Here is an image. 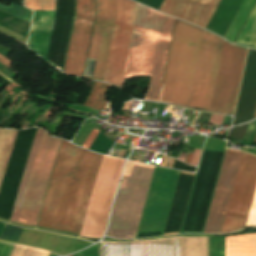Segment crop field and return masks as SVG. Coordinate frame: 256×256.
<instances>
[{
	"label": "crop field",
	"mask_w": 256,
	"mask_h": 256,
	"mask_svg": "<svg viewBox=\"0 0 256 256\" xmlns=\"http://www.w3.org/2000/svg\"><path fill=\"white\" fill-rule=\"evenodd\" d=\"M255 186L256 157L244 152L221 233L245 227Z\"/></svg>",
	"instance_id": "crop-field-10"
},
{
	"label": "crop field",
	"mask_w": 256,
	"mask_h": 256,
	"mask_svg": "<svg viewBox=\"0 0 256 256\" xmlns=\"http://www.w3.org/2000/svg\"><path fill=\"white\" fill-rule=\"evenodd\" d=\"M125 152H126V150H120V149H119L118 153L116 154V157L123 158Z\"/></svg>",
	"instance_id": "crop-field-34"
},
{
	"label": "crop field",
	"mask_w": 256,
	"mask_h": 256,
	"mask_svg": "<svg viewBox=\"0 0 256 256\" xmlns=\"http://www.w3.org/2000/svg\"><path fill=\"white\" fill-rule=\"evenodd\" d=\"M72 256V255H71Z\"/></svg>",
	"instance_id": "crop-field-40"
},
{
	"label": "crop field",
	"mask_w": 256,
	"mask_h": 256,
	"mask_svg": "<svg viewBox=\"0 0 256 256\" xmlns=\"http://www.w3.org/2000/svg\"><path fill=\"white\" fill-rule=\"evenodd\" d=\"M136 3L118 0L117 17L109 50L104 82L121 86L130 37L135 18Z\"/></svg>",
	"instance_id": "crop-field-9"
},
{
	"label": "crop field",
	"mask_w": 256,
	"mask_h": 256,
	"mask_svg": "<svg viewBox=\"0 0 256 256\" xmlns=\"http://www.w3.org/2000/svg\"><path fill=\"white\" fill-rule=\"evenodd\" d=\"M223 117H224V116L212 114L209 123L221 125V124H222Z\"/></svg>",
	"instance_id": "crop-field-31"
},
{
	"label": "crop field",
	"mask_w": 256,
	"mask_h": 256,
	"mask_svg": "<svg viewBox=\"0 0 256 256\" xmlns=\"http://www.w3.org/2000/svg\"><path fill=\"white\" fill-rule=\"evenodd\" d=\"M236 44L256 48V6L251 16L249 17L243 31L241 32Z\"/></svg>",
	"instance_id": "crop-field-22"
},
{
	"label": "crop field",
	"mask_w": 256,
	"mask_h": 256,
	"mask_svg": "<svg viewBox=\"0 0 256 256\" xmlns=\"http://www.w3.org/2000/svg\"><path fill=\"white\" fill-rule=\"evenodd\" d=\"M153 168L133 162L126 164L108 236L135 237Z\"/></svg>",
	"instance_id": "crop-field-4"
},
{
	"label": "crop field",
	"mask_w": 256,
	"mask_h": 256,
	"mask_svg": "<svg viewBox=\"0 0 256 256\" xmlns=\"http://www.w3.org/2000/svg\"><path fill=\"white\" fill-rule=\"evenodd\" d=\"M56 0H24V5L33 10H55ZM55 11H35L28 47L45 57Z\"/></svg>",
	"instance_id": "crop-field-15"
},
{
	"label": "crop field",
	"mask_w": 256,
	"mask_h": 256,
	"mask_svg": "<svg viewBox=\"0 0 256 256\" xmlns=\"http://www.w3.org/2000/svg\"><path fill=\"white\" fill-rule=\"evenodd\" d=\"M254 142H256V139H255V141Z\"/></svg>",
	"instance_id": "crop-field-39"
},
{
	"label": "crop field",
	"mask_w": 256,
	"mask_h": 256,
	"mask_svg": "<svg viewBox=\"0 0 256 256\" xmlns=\"http://www.w3.org/2000/svg\"><path fill=\"white\" fill-rule=\"evenodd\" d=\"M219 0H164L160 11L205 28Z\"/></svg>",
	"instance_id": "crop-field-16"
},
{
	"label": "crop field",
	"mask_w": 256,
	"mask_h": 256,
	"mask_svg": "<svg viewBox=\"0 0 256 256\" xmlns=\"http://www.w3.org/2000/svg\"><path fill=\"white\" fill-rule=\"evenodd\" d=\"M102 256H207V237L103 242Z\"/></svg>",
	"instance_id": "crop-field-6"
},
{
	"label": "crop field",
	"mask_w": 256,
	"mask_h": 256,
	"mask_svg": "<svg viewBox=\"0 0 256 256\" xmlns=\"http://www.w3.org/2000/svg\"><path fill=\"white\" fill-rule=\"evenodd\" d=\"M256 0H244L241 4L236 16L230 24L224 38L228 39L233 43L237 33L239 32L242 24L244 23L248 13L250 12L253 4Z\"/></svg>",
	"instance_id": "crop-field-21"
},
{
	"label": "crop field",
	"mask_w": 256,
	"mask_h": 256,
	"mask_svg": "<svg viewBox=\"0 0 256 256\" xmlns=\"http://www.w3.org/2000/svg\"><path fill=\"white\" fill-rule=\"evenodd\" d=\"M241 2L242 0H222L207 30L213 31L223 37Z\"/></svg>",
	"instance_id": "crop-field-17"
},
{
	"label": "crop field",
	"mask_w": 256,
	"mask_h": 256,
	"mask_svg": "<svg viewBox=\"0 0 256 256\" xmlns=\"http://www.w3.org/2000/svg\"><path fill=\"white\" fill-rule=\"evenodd\" d=\"M256 117V108H255V113H254V117L253 118H255Z\"/></svg>",
	"instance_id": "crop-field-38"
},
{
	"label": "crop field",
	"mask_w": 256,
	"mask_h": 256,
	"mask_svg": "<svg viewBox=\"0 0 256 256\" xmlns=\"http://www.w3.org/2000/svg\"><path fill=\"white\" fill-rule=\"evenodd\" d=\"M200 151L201 150L195 149V151H194V153H192V155H191V153H188L187 156H186L185 162L186 163L189 162V158H190V155H191V159H190L189 164L197 166L199 155H200Z\"/></svg>",
	"instance_id": "crop-field-28"
},
{
	"label": "crop field",
	"mask_w": 256,
	"mask_h": 256,
	"mask_svg": "<svg viewBox=\"0 0 256 256\" xmlns=\"http://www.w3.org/2000/svg\"><path fill=\"white\" fill-rule=\"evenodd\" d=\"M22 230V228L8 224L2 238L17 242Z\"/></svg>",
	"instance_id": "crop-field-26"
},
{
	"label": "crop field",
	"mask_w": 256,
	"mask_h": 256,
	"mask_svg": "<svg viewBox=\"0 0 256 256\" xmlns=\"http://www.w3.org/2000/svg\"><path fill=\"white\" fill-rule=\"evenodd\" d=\"M167 159H168L167 157H164V156H163L159 166L165 167V166H166ZM173 161H174V160L172 159V160H171L170 167H172Z\"/></svg>",
	"instance_id": "crop-field-32"
},
{
	"label": "crop field",
	"mask_w": 256,
	"mask_h": 256,
	"mask_svg": "<svg viewBox=\"0 0 256 256\" xmlns=\"http://www.w3.org/2000/svg\"><path fill=\"white\" fill-rule=\"evenodd\" d=\"M202 29L176 21L159 100L186 106ZM223 40L204 31L187 107L209 109Z\"/></svg>",
	"instance_id": "crop-field-1"
},
{
	"label": "crop field",
	"mask_w": 256,
	"mask_h": 256,
	"mask_svg": "<svg viewBox=\"0 0 256 256\" xmlns=\"http://www.w3.org/2000/svg\"><path fill=\"white\" fill-rule=\"evenodd\" d=\"M97 134H98V131L92 129V131L90 132L89 136L85 140V142L83 144V147L88 149V147L90 146V144L92 143V141L94 140V138L96 137Z\"/></svg>",
	"instance_id": "crop-field-30"
},
{
	"label": "crop field",
	"mask_w": 256,
	"mask_h": 256,
	"mask_svg": "<svg viewBox=\"0 0 256 256\" xmlns=\"http://www.w3.org/2000/svg\"><path fill=\"white\" fill-rule=\"evenodd\" d=\"M43 132H44V130H42L40 128L37 129L36 136H35L32 148H31V152H30V155H29V158L27 161V165H26L23 177H22L21 184H20L18 196H17L16 202H15V206H14V209L12 212L11 219H10L11 221H15V222L17 221V217H18L19 210L21 207V203H22V199H23L24 192L26 189L27 181H28L35 157H36V153H37Z\"/></svg>",
	"instance_id": "crop-field-19"
},
{
	"label": "crop field",
	"mask_w": 256,
	"mask_h": 256,
	"mask_svg": "<svg viewBox=\"0 0 256 256\" xmlns=\"http://www.w3.org/2000/svg\"><path fill=\"white\" fill-rule=\"evenodd\" d=\"M230 120H231V117L225 116V117H224L223 124H228V123H230ZM223 124H222V125H223Z\"/></svg>",
	"instance_id": "crop-field-35"
},
{
	"label": "crop field",
	"mask_w": 256,
	"mask_h": 256,
	"mask_svg": "<svg viewBox=\"0 0 256 256\" xmlns=\"http://www.w3.org/2000/svg\"><path fill=\"white\" fill-rule=\"evenodd\" d=\"M49 252L16 245L11 256H48Z\"/></svg>",
	"instance_id": "crop-field-24"
},
{
	"label": "crop field",
	"mask_w": 256,
	"mask_h": 256,
	"mask_svg": "<svg viewBox=\"0 0 256 256\" xmlns=\"http://www.w3.org/2000/svg\"><path fill=\"white\" fill-rule=\"evenodd\" d=\"M162 17V14L137 4L123 81L133 76H151ZM174 21V18L163 17L151 84L144 99H158Z\"/></svg>",
	"instance_id": "crop-field-2"
},
{
	"label": "crop field",
	"mask_w": 256,
	"mask_h": 256,
	"mask_svg": "<svg viewBox=\"0 0 256 256\" xmlns=\"http://www.w3.org/2000/svg\"><path fill=\"white\" fill-rule=\"evenodd\" d=\"M246 52L223 43L209 111L233 112Z\"/></svg>",
	"instance_id": "crop-field-8"
},
{
	"label": "crop field",
	"mask_w": 256,
	"mask_h": 256,
	"mask_svg": "<svg viewBox=\"0 0 256 256\" xmlns=\"http://www.w3.org/2000/svg\"><path fill=\"white\" fill-rule=\"evenodd\" d=\"M102 155L89 152L86 165L74 199L67 232L80 234L88 200L96 179V175L102 160Z\"/></svg>",
	"instance_id": "crop-field-14"
},
{
	"label": "crop field",
	"mask_w": 256,
	"mask_h": 256,
	"mask_svg": "<svg viewBox=\"0 0 256 256\" xmlns=\"http://www.w3.org/2000/svg\"><path fill=\"white\" fill-rule=\"evenodd\" d=\"M123 162L103 157L80 235L101 237Z\"/></svg>",
	"instance_id": "crop-field-5"
},
{
	"label": "crop field",
	"mask_w": 256,
	"mask_h": 256,
	"mask_svg": "<svg viewBox=\"0 0 256 256\" xmlns=\"http://www.w3.org/2000/svg\"><path fill=\"white\" fill-rule=\"evenodd\" d=\"M15 245L0 242V256H10Z\"/></svg>",
	"instance_id": "crop-field-27"
},
{
	"label": "crop field",
	"mask_w": 256,
	"mask_h": 256,
	"mask_svg": "<svg viewBox=\"0 0 256 256\" xmlns=\"http://www.w3.org/2000/svg\"><path fill=\"white\" fill-rule=\"evenodd\" d=\"M181 173H184V172H181ZM184 174H191V175H195V174H192V173H184ZM171 234H178V233H171ZM164 235H167V234H164Z\"/></svg>",
	"instance_id": "crop-field-36"
},
{
	"label": "crop field",
	"mask_w": 256,
	"mask_h": 256,
	"mask_svg": "<svg viewBox=\"0 0 256 256\" xmlns=\"http://www.w3.org/2000/svg\"><path fill=\"white\" fill-rule=\"evenodd\" d=\"M130 103H131V102H129V103L127 104V107H126V109H125V110H127V109H128V107H129Z\"/></svg>",
	"instance_id": "crop-field-37"
},
{
	"label": "crop field",
	"mask_w": 256,
	"mask_h": 256,
	"mask_svg": "<svg viewBox=\"0 0 256 256\" xmlns=\"http://www.w3.org/2000/svg\"><path fill=\"white\" fill-rule=\"evenodd\" d=\"M60 140L49 137L47 132H44L17 222L36 225Z\"/></svg>",
	"instance_id": "crop-field-7"
},
{
	"label": "crop field",
	"mask_w": 256,
	"mask_h": 256,
	"mask_svg": "<svg viewBox=\"0 0 256 256\" xmlns=\"http://www.w3.org/2000/svg\"><path fill=\"white\" fill-rule=\"evenodd\" d=\"M117 0H97V16L95 20L94 30L90 43L89 53L84 75L92 77L95 63V71L93 78L102 81L105 70L108 50L110 46L113 26L116 17Z\"/></svg>",
	"instance_id": "crop-field-11"
},
{
	"label": "crop field",
	"mask_w": 256,
	"mask_h": 256,
	"mask_svg": "<svg viewBox=\"0 0 256 256\" xmlns=\"http://www.w3.org/2000/svg\"><path fill=\"white\" fill-rule=\"evenodd\" d=\"M18 130L0 129V183Z\"/></svg>",
	"instance_id": "crop-field-20"
},
{
	"label": "crop field",
	"mask_w": 256,
	"mask_h": 256,
	"mask_svg": "<svg viewBox=\"0 0 256 256\" xmlns=\"http://www.w3.org/2000/svg\"><path fill=\"white\" fill-rule=\"evenodd\" d=\"M88 152L62 141L37 226L66 230Z\"/></svg>",
	"instance_id": "crop-field-3"
},
{
	"label": "crop field",
	"mask_w": 256,
	"mask_h": 256,
	"mask_svg": "<svg viewBox=\"0 0 256 256\" xmlns=\"http://www.w3.org/2000/svg\"><path fill=\"white\" fill-rule=\"evenodd\" d=\"M95 0H77L76 15L65 65V73L82 75L89 41Z\"/></svg>",
	"instance_id": "crop-field-13"
},
{
	"label": "crop field",
	"mask_w": 256,
	"mask_h": 256,
	"mask_svg": "<svg viewBox=\"0 0 256 256\" xmlns=\"http://www.w3.org/2000/svg\"><path fill=\"white\" fill-rule=\"evenodd\" d=\"M106 87V84L96 82L94 83V87L91 91L90 96L85 101L83 105L89 106L94 109H100L104 107L107 99L103 93L104 89Z\"/></svg>",
	"instance_id": "crop-field-23"
},
{
	"label": "crop field",
	"mask_w": 256,
	"mask_h": 256,
	"mask_svg": "<svg viewBox=\"0 0 256 256\" xmlns=\"http://www.w3.org/2000/svg\"><path fill=\"white\" fill-rule=\"evenodd\" d=\"M240 151L226 150L203 233H220L242 157Z\"/></svg>",
	"instance_id": "crop-field-12"
},
{
	"label": "crop field",
	"mask_w": 256,
	"mask_h": 256,
	"mask_svg": "<svg viewBox=\"0 0 256 256\" xmlns=\"http://www.w3.org/2000/svg\"><path fill=\"white\" fill-rule=\"evenodd\" d=\"M225 256H256V234L225 237Z\"/></svg>",
	"instance_id": "crop-field-18"
},
{
	"label": "crop field",
	"mask_w": 256,
	"mask_h": 256,
	"mask_svg": "<svg viewBox=\"0 0 256 256\" xmlns=\"http://www.w3.org/2000/svg\"><path fill=\"white\" fill-rule=\"evenodd\" d=\"M73 256H98L96 245L90 247L80 253L74 254Z\"/></svg>",
	"instance_id": "crop-field-29"
},
{
	"label": "crop field",
	"mask_w": 256,
	"mask_h": 256,
	"mask_svg": "<svg viewBox=\"0 0 256 256\" xmlns=\"http://www.w3.org/2000/svg\"><path fill=\"white\" fill-rule=\"evenodd\" d=\"M0 62L5 64L6 66L10 67V60L4 58L3 56L0 55Z\"/></svg>",
	"instance_id": "crop-field-33"
},
{
	"label": "crop field",
	"mask_w": 256,
	"mask_h": 256,
	"mask_svg": "<svg viewBox=\"0 0 256 256\" xmlns=\"http://www.w3.org/2000/svg\"><path fill=\"white\" fill-rule=\"evenodd\" d=\"M209 256H224V237H210Z\"/></svg>",
	"instance_id": "crop-field-25"
}]
</instances>
